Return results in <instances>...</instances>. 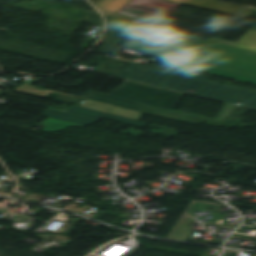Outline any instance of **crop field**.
Here are the masks:
<instances>
[{
	"mask_svg": "<svg viewBox=\"0 0 256 256\" xmlns=\"http://www.w3.org/2000/svg\"><path fill=\"white\" fill-rule=\"evenodd\" d=\"M133 67L136 69L139 67V69L135 73H133L134 70L130 72L129 70ZM117 76L154 86H164L172 90L191 93L231 104L241 99L244 101L242 106L256 109V92L220 85L216 82L198 79L180 73L130 62Z\"/></svg>",
	"mask_w": 256,
	"mask_h": 256,
	"instance_id": "1",
	"label": "crop field"
},
{
	"mask_svg": "<svg viewBox=\"0 0 256 256\" xmlns=\"http://www.w3.org/2000/svg\"><path fill=\"white\" fill-rule=\"evenodd\" d=\"M127 47L256 78L254 64L202 51V54L198 55L195 54L198 50L170 43L135 36Z\"/></svg>",
	"mask_w": 256,
	"mask_h": 256,
	"instance_id": "2",
	"label": "crop field"
},
{
	"mask_svg": "<svg viewBox=\"0 0 256 256\" xmlns=\"http://www.w3.org/2000/svg\"><path fill=\"white\" fill-rule=\"evenodd\" d=\"M109 28L256 64V53L110 17Z\"/></svg>",
	"mask_w": 256,
	"mask_h": 256,
	"instance_id": "3",
	"label": "crop field"
},
{
	"mask_svg": "<svg viewBox=\"0 0 256 256\" xmlns=\"http://www.w3.org/2000/svg\"><path fill=\"white\" fill-rule=\"evenodd\" d=\"M183 94L126 81L109 95L90 91L83 98L135 110L145 104L175 110Z\"/></svg>",
	"mask_w": 256,
	"mask_h": 256,
	"instance_id": "4",
	"label": "crop field"
},
{
	"mask_svg": "<svg viewBox=\"0 0 256 256\" xmlns=\"http://www.w3.org/2000/svg\"><path fill=\"white\" fill-rule=\"evenodd\" d=\"M175 5L161 0H132L117 13L137 17L136 23L151 26L166 16Z\"/></svg>",
	"mask_w": 256,
	"mask_h": 256,
	"instance_id": "5",
	"label": "crop field"
},
{
	"mask_svg": "<svg viewBox=\"0 0 256 256\" xmlns=\"http://www.w3.org/2000/svg\"><path fill=\"white\" fill-rule=\"evenodd\" d=\"M43 115L66 120L81 125H91L97 122L101 117L139 127H144L146 125L145 122L78 106H74L66 112L48 109L43 113Z\"/></svg>",
	"mask_w": 256,
	"mask_h": 256,
	"instance_id": "6",
	"label": "crop field"
},
{
	"mask_svg": "<svg viewBox=\"0 0 256 256\" xmlns=\"http://www.w3.org/2000/svg\"><path fill=\"white\" fill-rule=\"evenodd\" d=\"M15 90L24 92V93L38 95V96H41L44 98H46L49 94H51L53 92V91L37 89L35 87L28 86L25 84L15 88ZM59 94L60 95L57 98H55L54 100L64 101V102H68V103L73 102V103L80 104V106H83V107L101 110V111L129 117V118L137 119V120H139V118L142 114L137 111H132V110H128V109H124V108H120V107H116V106H112V105H107V104H103V103H99V102H95V101H91V100H87V99H84L86 101L83 102V101H79V100H75L72 98L61 96L63 93H59Z\"/></svg>",
	"mask_w": 256,
	"mask_h": 256,
	"instance_id": "7",
	"label": "crop field"
},
{
	"mask_svg": "<svg viewBox=\"0 0 256 256\" xmlns=\"http://www.w3.org/2000/svg\"><path fill=\"white\" fill-rule=\"evenodd\" d=\"M182 4L209 9L213 11H218L222 13H227L231 15H236L240 17H243L244 15H246L248 12L252 10V8L231 5V4H227V3H223L215 0H184Z\"/></svg>",
	"mask_w": 256,
	"mask_h": 256,
	"instance_id": "8",
	"label": "crop field"
},
{
	"mask_svg": "<svg viewBox=\"0 0 256 256\" xmlns=\"http://www.w3.org/2000/svg\"><path fill=\"white\" fill-rule=\"evenodd\" d=\"M151 56L164 59L165 60L164 62H166V63H170V64L206 72L209 74H213V75H217V76H221V77H225V78H229V79H234V80H238V81L256 84L255 78L246 77V76H242V75H238V74H234V73H230V72H225V71H221V70H217V69H213V68H208V67H204V66H200V65H196V64H192V63H187V62H183V61H179V60H175V59H170V58H166V57H162V56H158V55H154V54H151Z\"/></svg>",
	"mask_w": 256,
	"mask_h": 256,
	"instance_id": "9",
	"label": "crop field"
},
{
	"mask_svg": "<svg viewBox=\"0 0 256 256\" xmlns=\"http://www.w3.org/2000/svg\"><path fill=\"white\" fill-rule=\"evenodd\" d=\"M129 1L130 0H101L99 3L97 2L98 4H96V6H98L101 10H103L108 16L134 22L136 18L115 14ZM166 1L179 3L182 0H166Z\"/></svg>",
	"mask_w": 256,
	"mask_h": 256,
	"instance_id": "10",
	"label": "crop field"
},
{
	"mask_svg": "<svg viewBox=\"0 0 256 256\" xmlns=\"http://www.w3.org/2000/svg\"><path fill=\"white\" fill-rule=\"evenodd\" d=\"M97 66H100L95 71L103 72L106 74L114 75L116 76L123 68L124 66L129 63L128 61L115 59L111 57L105 56V58L98 57L97 58Z\"/></svg>",
	"mask_w": 256,
	"mask_h": 256,
	"instance_id": "11",
	"label": "crop field"
},
{
	"mask_svg": "<svg viewBox=\"0 0 256 256\" xmlns=\"http://www.w3.org/2000/svg\"><path fill=\"white\" fill-rule=\"evenodd\" d=\"M209 40L256 52V30L250 29L236 43L214 37Z\"/></svg>",
	"mask_w": 256,
	"mask_h": 256,
	"instance_id": "12",
	"label": "crop field"
},
{
	"mask_svg": "<svg viewBox=\"0 0 256 256\" xmlns=\"http://www.w3.org/2000/svg\"><path fill=\"white\" fill-rule=\"evenodd\" d=\"M41 125L46 126L44 129H42L39 133L41 132H56V131H61L67 128L68 126H78L81 128H84L85 126L65 122L62 120L54 119L48 117L45 121L41 123Z\"/></svg>",
	"mask_w": 256,
	"mask_h": 256,
	"instance_id": "13",
	"label": "crop field"
},
{
	"mask_svg": "<svg viewBox=\"0 0 256 256\" xmlns=\"http://www.w3.org/2000/svg\"><path fill=\"white\" fill-rule=\"evenodd\" d=\"M238 253H239L238 251L230 250L227 256H237Z\"/></svg>",
	"mask_w": 256,
	"mask_h": 256,
	"instance_id": "14",
	"label": "crop field"
},
{
	"mask_svg": "<svg viewBox=\"0 0 256 256\" xmlns=\"http://www.w3.org/2000/svg\"><path fill=\"white\" fill-rule=\"evenodd\" d=\"M94 5L99 2L100 0H90Z\"/></svg>",
	"mask_w": 256,
	"mask_h": 256,
	"instance_id": "15",
	"label": "crop field"
},
{
	"mask_svg": "<svg viewBox=\"0 0 256 256\" xmlns=\"http://www.w3.org/2000/svg\"><path fill=\"white\" fill-rule=\"evenodd\" d=\"M252 29H256V25H253Z\"/></svg>",
	"mask_w": 256,
	"mask_h": 256,
	"instance_id": "16",
	"label": "crop field"
}]
</instances>
